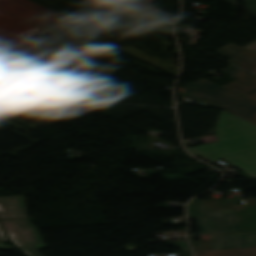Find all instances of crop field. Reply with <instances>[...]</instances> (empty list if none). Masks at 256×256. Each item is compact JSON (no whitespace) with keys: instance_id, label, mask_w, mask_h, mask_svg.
<instances>
[{"instance_id":"3316defc","label":"crop field","mask_w":256,"mask_h":256,"mask_svg":"<svg viewBox=\"0 0 256 256\" xmlns=\"http://www.w3.org/2000/svg\"><path fill=\"white\" fill-rule=\"evenodd\" d=\"M90 1H93V2H95V3H97V4L101 5V6H103L105 8H108L110 10H113V11H115L117 13H120V14H122V15H124V16L132 19V20H134V21H137L139 23L147 25V26H149V27H151V28H153L155 30H159L160 32H162V33L168 35L169 37H171V30L166 28V27H163V26H161V25H159L157 23H154V22H152L150 20L142 18V17H140L138 15H135V14H133V13L127 11V10H124V9H122V8L116 6V5H113V4H111V3H109V2H107L105 0H90Z\"/></svg>"},{"instance_id":"412701ff","label":"crop field","mask_w":256,"mask_h":256,"mask_svg":"<svg viewBox=\"0 0 256 256\" xmlns=\"http://www.w3.org/2000/svg\"><path fill=\"white\" fill-rule=\"evenodd\" d=\"M212 210L234 209L242 231L256 230V199L243 200L244 205H237L235 200L200 201Z\"/></svg>"},{"instance_id":"8a807250","label":"crop field","mask_w":256,"mask_h":256,"mask_svg":"<svg viewBox=\"0 0 256 256\" xmlns=\"http://www.w3.org/2000/svg\"><path fill=\"white\" fill-rule=\"evenodd\" d=\"M231 115L223 111L220 116L219 142L187 150L208 162L225 158L256 179V126Z\"/></svg>"},{"instance_id":"22f410ed","label":"crop field","mask_w":256,"mask_h":256,"mask_svg":"<svg viewBox=\"0 0 256 256\" xmlns=\"http://www.w3.org/2000/svg\"><path fill=\"white\" fill-rule=\"evenodd\" d=\"M41 248H47L44 243L22 248L29 256H43L38 250Z\"/></svg>"},{"instance_id":"5142ce71","label":"crop field","mask_w":256,"mask_h":256,"mask_svg":"<svg viewBox=\"0 0 256 256\" xmlns=\"http://www.w3.org/2000/svg\"><path fill=\"white\" fill-rule=\"evenodd\" d=\"M7 240L6 236H5V233L0 225V241H5ZM0 249H3V250H13L11 246H8V247H5L3 245V243H0Z\"/></svg>"},{"instance_id":"e52e79f7","label":"crop field","mask_w":256,"mask_h":256,"mask_svg":"<svg viewBox=\"0 0 256 256\" xmlns=\"http://www.w3.org/2000/svg\"><path fill=\"white\" fill-rule=\"evenodd\" d=\"M220 49V48H219ZM217 52L231 58L229 63L256 74V51L252 52L244 47L230 44Z\"/></svg>"},{"instance_id":"ac0d7876","label":"crop field","mask_w":256,"mask_h":256,"mask_svg":"<svg viewBox=\"0 0 256 256\" xmlns=\"http://www.w3.org/2000/svg\"><path fill=\"white\" fill-rule=\"evenodd\" d=\"M180 90L256 125L255 102L206 79H200Z\"/></svg>"},{"instance_id":"f4fd0767","label":"crop field","mask_w":256,"mask_h":256,"mask_svg":"<svg viewBox=\"0 0 256 256\" xmlns=\"http://www.w3.org/2000/svg\"><path fill=\"white\" fill-rule=\"evenodd\" d=\"M10 239L18 248L43 242L38 230L27 218L1 220Z\"/></svg>"},{"instance_id":"cbeb9de0","label":"crop field","mask_w":256,"mask_h":256,"mask_svg":"<svg viewBox=\"0 0 256 256\" xmlns=\"http://www.w3.org/2000/svg\"><path fill=\"white\" fill-rule=\"evenodd\" d=\"M229 1L235 3L234 2L235 0H229ZM244 1H246L245 8L256 13V0H244ZM235 4H237V3H235Z\"/></svg>"},{"instance_id":"34b2d1b8","label":"crop field","mask_w":256,"mask_h":256,"mask_svg":"<svg viewBox=\"0 0 256 256\" xmlns=\"http://www.w3.org/2000/svg\"><path fill=\"white\" fill-rule=\"evenodd\" d=\"M189 217L195 218L201 234L241 231L233 210L212 211L197 199L189 204Z\"/></svg>"},{"instance_id":"5a996713","label":"crop field","mask_w":256,"mask_h":256,"mask_svg":"<svg viewBox=\"0 0 256 256\" xmlns=\"http://www.w3.org/2000/svg\"><path fill=\"white\" fill-rule=\"evenodd\" d=\"M27 217L24 196L0 197V219Z\"/></svg>"},{"instance_id":"d9b57169","label":"crop field","mask_w":256,"mask_h":256,"mask_svg":"<svg viewBox=\"0 0 256 256\" xmlns=\"http://www.w3.org/2000/svg\"><path fill=\"white\" fill-rule=\"evenodd\" d=\"M143 1H145V2H147V3H149V4L155 2V0H143Z\"/></svg>"},{"instance_id":"dd49c442","label":"crop field","mask_w":256,"mask_h":256,"mask_svg":"<svg viewBox=\"0 0 256 256\" xmlns=\"http://www.w3.org/2000/svg\"><path fill=\"white\" fill-rule=\"evenodd\" d=\"M212 250L256 246V232L210 235Z\"/></svg>"},{"instance_id":"28ad6ade","label":"crop field","mask_w":256,"mask_h":256,"mask_svg":"<svg viewBox=\"0 0 256 256\" xmlns=\"http://www.w3.org/2000/svg\"><path fill=\"white\" fill-rule=\"evenodd\" d=\"M196 256H256V247L220 251H199Z\"/></svg>"},{"instance_id":"d1516ede","label":"crop field","mask_w":256,"mask_h":256,"mask_svg":"<svg viewBox=\"0 0 256 256\" xmlns=\"http://www.w3.org/2000/svg\"><path fill=\"white\" fill-rule=\"evenodd\" d=\"M114 3L124 9H127L135 14H138L150 7L151 5L141 1V0H107Z\"/></svg>"},{"instance_id":"d8731c3e","label":"crop field","mask_w":256,"mask_h":256,"mask_svg":"<svg viewBox=\"0 0 256 256\" xmlns=\"http://www.w3.org/2000/svg\"><path fill=\"white\" fill-rule=\"evenodd\" d=\"M221 71L237 79L224 86L256 101V77L255 76L245 73L232 66H229Z\"/></svg>"}]
</instances>
